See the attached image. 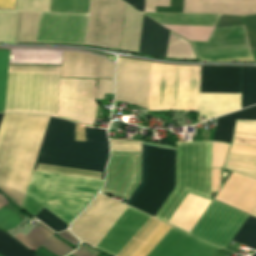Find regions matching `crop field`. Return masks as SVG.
Listing matches in <instances>:
<instances>
[{
	"mask_svg": "<svg viewBox=\"0 0 256 256\" xmlns=\"http://www.w3.org/2000/svg\"><path fill=\"white\" fill-rule=\"evenodd\" d=\"M95 79L61 78L57 117L92 126L100 107L94 96Z\"/></svg>",
	"mask_w": 256,
	"mask_h": 256,
	"instance_id": "d8731c3e",
	"label": "crop field"
},
{
	"mask_svg": "<svg viewBox=\"0 0 256 256\" xmlns=\"http://www.w3.org/2000/svg\"><path fill=\"white\" fill-rule=\"evenodd\" d=\"M174 187L175 150L142 144L141 183L127 204L154 217Z\"/></svg>",
	"mask_w": 256,
	"mask_h": 256,
	"instance_id": "412701ff",
	"label": "crop field"
},
{
	"mask_svg": "<svg viewBox=\"0 0 256 256\" xmlns=\"http://www.w3.org/2000/svg\"><path fill=\"white\" fill-rule=\"evenodd\" d=\"M251 215L256 217V207L254 208V210L251 212Z\"/></svg>",
	"mask_w": 256,
	"mask_h": 256,
	"instance_id": "9d1cf04e",
	"label": "crop field"
},
{
	"mask_svg": "<svg viewBox=\"0 0 256 256\" xmlns=\"http://www.w3.org/2000/svg\"><path fill=\"white\" fill-rule=\"evenodd\" d=\"M256 103V68L243 67L242 108Z\"/></svg>",
	"mask_w": 256,
	"mask_h": 256,
	"instance_id": "d3111659",
	"label": "crop field"
},
{
	"mask_svg": "<svg viewBox=\"0 0 256 256\" xmlns=\"http://www.w3.org/2000/svg\"><path fill=\"white\" fill-rule=\"evenodd\" d=\"M169 31L144 16L139 53L165 58Z\"/></svg>",
	"mask_w": 256,
	"mask_h": 256,
	"instance_id": "92a150f3",
	"label": "crop field"
},
{
	"mask_svg": "<svg viewBox=\"0 0 256 256\" xmlns=\"http://www.w3.org/2000/svg\"><path fill=\"white\" fill-rule=\"evenodd\" d=\"M14 0H0V7L13 8Z\"/></svg>",
	"mask_w": 256,
	"mask_h": 256,
	"instance_id": "0fb4a251",
	"label": "crop field"
},
{
	"mask_svg": "<svg viewBox=\"0 0 256 256\" xmlns=\"http://www.w3.org/2000/svg\"><path fill=\"white\" fill-rule=\"evenodd\" d=\"M155 6H169V0H146L145 11L155 12Z\"/></svg>",
	"mask_w": 256,
	"mask_h": 256,
	"instance_id": "73cf0c24",
	"label": "crop field"
},
{
	"mask_svg": "<svg viewBox=\"0 0 256 256\" xmlns=\"http://www.w3.org/2000/svg\"><path fill=\"white\" fill-rule=\"evenodd\" d=\"M59 237L69 241L70 243H72L73 245H75L77 247L78 243H79V240L74 237L69 230H66L62 233H59L58 234Z\"/></svg>",
	"mask_w": 256,
	"mask_h": 256,
	"instance_id": "1f2cbd36",
	"label": "crop field"
},
{
	"mask_svg": "<svg viewBox=\"0 0 256 256\" xmlns=\"http://www.w3.org/2000/svg\"><path fill=\"white\" fill-rule=\"evenodd\" d=\"M2 115H3V114H0V120H1Z\"/></svg>",
	"mask_w": 256,
	"mask_h": 256,
	"instance_id": "447ae74e",
	"label": "crop field"
},
{
	"mask_svg": "<svg viewBox=\"0 0 256 256\" xmlns=\"http://www.w3.org/2000/svg\"><path fill=\"white\" fill-rule=\"evenodd\" d=\"M253 256H256V253Z\"/></svg>",
	"mask_w": 256,
	"mask_h": 256,
	"instance_id": "0765c3eb",
	"label": "crop field"
},
{
	"mask_svg": "<svg viewBox=\"0 0 256 256\" xmlns=\"http://www.w3.org/2000/svg\"><path fill=\"white\" fill-rule=\"evenodd\" d=\"M61 67L9 66L4 112L56 116Z\"/></svg>",
	"mask_w": 256,
	"mask_h": 256,
	"instance_id": "ac0d7876",
	"label": "crop field"
},
{
	"mask_svg": "<svg viewBox=\"0 0 256 256\" xmlns=\"http://www.w3.org/2000/svg\"><path fill=\"white\" fill-rule=\"evenodd\" d=\"M17 12L0 11V42L14 43Z\"/></svg>",
	"mask_w": 256,
	"mask_h": 256,
	"instance_id": "5866460e",
	"label": "crop field"
},
{
	"mask_svg": "<svg viewBox=\"0 0 256 256\" xmlns=\"http://www.w3.org/2000/svg\"><path fill=\"white\" fill-rule=\"evenodd\" d=\"M242 67L201 66L200 93L241 94Z\"/></svg>",
	"mask_w": 256,
	"mask_h": 256,
	"instance_id": "4a817a6b",
	"label": "crop field"
},
{
	"mask_svg": "<svg viewBox=\"0 0 256 256\" xmlns=\"http://www.w3.org/2000/svg\"><path fill=\"white\" fill-rule=\"evenodd\" d=\"M229 145L212 143V169H221ZM220 187V170H212L211 192H217Z\"/></svg>",
	"mask_w": 256,
	"mask_h": 256,
	"instance_id": "bd1437ed",
	"label": "crop field"
},
{
	"mask_svg": "<svg viewBox=\"0 0 256 256\" xmlns=\"http://www.w3.org/2000/svg\"><path fill=\"white\" fill-rule=\"evenodd\" d=\"M104 93L113 94V81L106 79L98 80V90L96 99H103Z\"/></svg>",
	"mask_w": 256,
	"mask_h": 256,
	"instance_id": "425ffa30",
	"label": "crop field"
},
{
	"mask_svg": "<svg viewBox=\"0 0 256 256\" xmlns=\"http://www.w3.org/2000/svg\"><path fill=\"white\" fill-rule=\"evenodd\" d=\"M166 57L196 59L189 42L172 32L169 34Z\"/></svg>",
	"mask_w": 256,
	"mask_h": 256,
	"instance_id": "750c4746",
	"label": "crop field"
},
{
	"mask_svg": "<svg viewBox=\"0 0 256 256\" xmlns=\"http://www.w3.org/2000/svg\"><path fill=\"white\" fill-rule=\"evenodd\" d=\"M224 168L256 179V121L236 120Z\"/></svg>",
	"mask_w": 256,
	"mask_h": 256,
	"instance_id": "d1516ede",
	"label": "crop field"
},
{
	"mask_svg": "<svg viewBox=\"0 0 256 256\" xmlns=\"http://www.w3.org/2000/svg\"><path fill=\"white\" fill-rule=\"evenodd\" d=\"M211 142L176 146V187L155 218L166 222L187 191L210 198Z\"/></svg>",
	"mask_w": 256,
	"mask_h": 256,
	"instance_id": "f4fd0767",
	"label": "crop field"
},
{
	"mask_svg": "<svg viewBox=\"0 0 256 256\" xmlns=\"http://www.w3.org/2000/svg\"><path fill=\"white\" fill-rule=\"evenodd\" d=\"M160 24L215 26L220 15L144 13Z\"/></svg>",
	"mask_w": 256,
	"mask_h": 256,
	"instance_id": "730fd06b",
	"label": "crop field"
},
{
	"mask_svg": "<svg viewBox=\"0 0 256 256\" xmlns=\"http://www.w3.org/2000/svg\"><path fill=\"white\" fill-rule=\"evenodd\" d=\"M250 50L256 49V15L243 17ZM203 61L251 57L243 26L214 29L208 43L192 42ZM230 62L253 61L252 58L222 60Z\"/></svg>",
	"mask_w": 256,
	"mask_h": 256,
	"instance_id": "dd49c442",
	"label": "crop field"
},
{
	"mask_svg": "<svg viewBox=\"0 0 256 256\" xmlns=\"http://www.w3.org/2000/svg\"><path fill=\"white\" fill-rule=\"evenodd\" d=\"M210 202L209 200L187 193L182 203L176 208L175 212L168 220V223L190 232L191 228Z\"/></svg>",
	"mask_w": 256,
	"mask_h": 256,
	"instance_id": "00972430",
	"label": "crop field"
},
{
	"mask_svg": "<svg viewBox=\"0 0 256 256\" xmlns=\"http://www.w3.org/2000/svg\"><path fill=\"white\" fill-rule=\"evenodd\" d=\"M115 65L100 57L98 78H114Z\"/></svg>",
	"mask_w": 256,
	"mask_h": 256,
	"instance_id": "d23c7cc5",
	"label": "crop field"
},
{
	"mask_svg": "<svg viewBox=\"0 0 256 256\" xmlns=\"http://www.w3.org/2000/svg\"><path fill=\"white\" fill-rule=\"evenodd\" d=\"M150 62L117 59L115 101L147 108Z\"/></svg>",
	"mask_w": 256,
	"mask_h": 256,
	"instance_id": "28ad6ade",
	"label": "crop field"
},
{
	"mask_svg": "<svg viewBox=\"0 0 256 256\" xmlns=\"http://www.w3.org/2000/svg\"><path fill=\"white\" fill-rule=\"evenodd\" d=\"M111 151L141 152V141L110 140Z\"/></svg>",
	"mask_w": 256,
	"mask_h": 256,
	"instance_id": "b54c1fbb",
	"label": "crop field"
},
{
	"mask_svg": "<svg viewBox=\"0 0 256 256\" xmlns=\"http://www.w3.org/2000/svg\"><path fill=\"white\" fill-rule=\"evenodd\" d=\"M143 15L126 4L120 49L138 53Z\"/></svg>",
	"mask_w": 256,
	"mask_h": 256,
	"instance_id": "4177f3b9",
	"label": "crop field"
},
{
	"mask_svg": "<svg viewBox=\"0 0 256 256\" xmlns=\"http://www.w3.org/2000/svg\"><path fill=\"white\" fill-rule=\"evenodd\" d=\"M125 2L92 0L86 43L119 49Z\"/></svg>",
	"mask_w": 256,
	"mask_h": 256,
	"instance_id": "5a996713",
	"label": "crop field"
},
{
	"mask_svg": "<svg viewBox=\"0 0 256 256\" xmlns=\"http://www.w3.org/2000/svg\"><path fill=\"white\" fill-rule=\"evenodd\" d=\"M218 250L172 227L147 256H213Z\"/></svg>",
	"mask_w": 256,
	"mask_h": 256,
	"instance_id": "5142ce71",
	"label": "crop field"
},
{
	"mask_svg": "<svg viewBox=\"0 0 256 256\" xmlns=\"http://www.w3.org/2000/svg\"><path fill=\"white\" fill-rule=\"evenodd\" d=\"M50 0H16L15 10L49 12Z\"/></svg>",
	"mask_w": 256,
	"mask_h": 256,
	"instance_id": "c21b1889",
	"label": "crop field"
},
{
	"mask_svg": "<svg viewBox=\"0 0 256 256\" xmlns=\"http://www.w3.org/2000/svg\"><path fill=\"white\" fill-rule=\"evenodd\" d=\"M126 208L127 206L99 193L73 222L70 230L82 242L95 248Z\"/></svg>",
	"mask_w": 256,
	"mask_h": 256,
	"instance_id": "e52e79f7",
	"label": "crop field"
},
{
	"mask_svg": "<svg viewBox=\"0 0 256 256\" xmlns=\"http://www.w3.org/2000/svg\"><path fill=\"white\" fill-rule=\"evenodd\" d=\"M9 51L0 50V112H3Z\"/></svg>",
	"mask_w": 256,
	"mask_h": 256,
	"instance_id": "0bd39190",
	"label": "crop field"
},
{
	"mask_svg": "<svg viewBox=\"0 0 256 256\" xmlns=\"http://www.w3.org/2000/svg\"><path fill=\"white\" fill-rule=\"evenodd\" d=\"M42 246H44L45 248H47L48 250H50L51 252L58 256H65L66 254L74 251V249H72L71 247L58 241L54 236Z\"/></svg>",
	"mask_w": 256,
	"mask_h": 256,
	"instance_id": "5d738f31",
	"label": "crop field"
},
{
	"mask_svg": "<svg viewBox=\"0 0 256 256\" xmlns=\"http://www.w3.org/2000/svg\"><path fill=\"white\" fill-rule=\"evenodd\" d=\"M35 218L39 219L40 221H42L44 224H46L48 227H50L52 230L56 232H61L63 230H66L68 226L44 208L40 211V213Z\"/></svg>",
	"mask_w": 256,
	"mask_h": 256,
	"instance_id": "03da06ac",
	"label": "crop field"
},
{
	"mask_svg": "<svg viewBox=\"0 0 256 256\" xmlns=\"http://www.w3.org/2000/svg\"><path fill=\"white\" fill-rule=\"evenodd\" d=\"M48 116L4 114L0 124V190L21 206ZM77 125V124H76ZM73 127L50 117L33 169L38 162L102 172L109 155L106 131ZM83 130V137H82ZM80 140L82 142L72 140ZM104 180L33 170L22 208L36 216L44 207L66 224L76 218Z\"/></svg>",
	"mask_w": 256,
	"mask_h": 256,
	"instance_id": "8a807250",
	"label": "crop field"
},
{
	"mask_svg": "<svg viewBox=\"0 0 256 256\" xmlns=\"http://www.w3.org/2000/svg\"><path fill=\"white\" fill-rule=\"evenodd\" d=\"M240 109V95L200 94L199 116L210 119Z\"/></svg>",
	"mask_w": 256,
	"mask_h": 256,
	"instance_id": "a9b5d70f",
	"label": "crop field"
},
{
	"mask_svg": "<svg viewBox=\"0 0 256 256\" xmlns=\"http://www.w3.org/2000/svg\"><path fill=\"white\" fill-rule=\"evenodd\" d=\"M139 11H144L145 0H124Z\"/></svg>",
	"mask_w": 256,
	"mask_h": 256,
	"instance_id": "dbb93151",
	"label": "crop field"
},
{
	"mask_svg": "<svg viewBox=\"0 0 256 256\" xmlns=\"http://www.w3.org/2000/svg\"><path fill=\"white\" fill-rule=\"evenodd\" d=\"M189 41H207L214 27L164 25Z\"/></svg>",
	"mask_w": 256,
	"mask_h": 256,
	"instance_id": "1d83c4d3",
	"label": "crop field"
},
{
	"mask_svg": "<svg viewBox=\"0 0 256 256\" xmlns=\"http://www.w3.org/2000/svg\"><path fill=\"white\" fill-rule=\"evenodd\" d=\"M37 169L59 172V173H66V174H73V175H80V176H87V177H94V178H100L101 176V173H98V172L79 170V169H73V168H67V167H61V166H54V165H48V164H42V163L38 164Z\"/></svg>",
	"mask_w": 256,
	"mask_h": 256,
	"instance_id": "c035e120",
	"label": "crop field"
},
{
	"mask_svg": "<svg viewBox=\"0 0 256 256\" xmlns=\"http://www.w3.org/2000/svg\"><path fill=\"white\" fill-rule=\"evenodd\" d=\"M74 256H97L98 252L92 250L86 245H82L75 252L71 253Z\"/></svg>",
	"mask_w": 256,
	"mask_h": 256,
	"instance_id": "89e229c0",
	"label": "crop field"
},
{
	"mask_svg": "<svg viewBox=\"0 0 256 256\" xmlns=\"http://www.w3.org/2000/svg\"><path fill=\"white\" fill-rule=\"evenodd\" d=\"M39 13L18 12L15 43L34 42Z\"/></svg>",
	"mask_w": 256,
	"mask_h": 256,
	"instance_id": "ae1a2a85",
	"label": "crop field"
},
{
	"mask_svg": "<svg viewBox=\"0 0 256 256\" xmlns=\"http://www.w3.org/2000/svg\"><path fill=\"white\" fill-rule=\"evenodd\" d=\"M90 0H51L50 12L88 14Z\"/></svg>",
	"mask_w": 256,
	"mask_h": 256,
	"instance_id": "120bbe31",
	"label": "crop field"
},
{
	"mask_svg": "<svg viewBox=\"0 0 256 256\" xmlns=\"http://www.w3.org/2000/svg\"><path fill=\"white\" fill-rule=\"evenodd\" d=\"M183 13L256 14V0H184Z\"/></svg>",
	"mask_w": 256,
	"mask_h": 256,
	"instance_id": "bc2a9ffb",
	"label": "crop field"
},
{
	"mask_svg": "<svg viewBox=\"0 0 256 256\" xmlns=\"http://www.w3.org/2000/svg\"><path fill=\"white\" fill-rule=\"evenodd\" d=\"M247 215L215 200L190 234L226 249Z\"/></svg>",
	"mask_w": 256,
	"mask_h": 256,
	"instance_id": "3316defc",
	"label": "crop field"
},
{
	"mask_svg": "<svg viewBox=\"0 0 256 256\" xmlns=\"http://www.w3.org/2000/svg\"><path fill=\"white\" fill-rule=\"evenodd\" d=\"M87 15L40 13L37 43L84 44Z\"/></svg>",
	"mask_w": 256,
	"mask_h": 256,
	"instance_id": "cbeb9de0",
	"label": "crop field"
},
{
	"mask_svg": "<svg viewBox=\"0 0 256 256\" xmlns=\"http://www.w3.org/2000/svg\"><path fill=\"white\" fill-rule=\"evenodd\" d=\"M200 66L151 62L148 110L198 111Z\"/></svg>",
	"mask_w": 256,
	"mask_h": 256,
	"instance_id": "34b2d1b8",
	"label": "crop field"
},
{
	"mask_svg": "<svg viewBox=\"0 0 256 256\" xmlns=\"http://www.w3.org/2000/svg\"><path fill=\"white\" fill-rule=\"evenodd\" d=\"M7 203H9L8 200L0 194V208Z\"/></svg>",
	"mask_w": 256,
	"mask_h": 256,
	"instance_id": "1d79db26",
	"label": "crop field"
},
{
	"mask_svg": "<svg viewBox=\"0 0 256 256\" xmlns=\"http://www.w3.org/2000/svg\"><path fill=\"white\" fill-rule=\"evenodd\" d=\"M99 57L63 52L61 77L97 78Z\"/></svg>",
	"mask_w": 256,
	"mask_h": 256,
	"instance_id": "dafd665d",
	"label": "crop field"
},
{
	"mask_svg": "<svg viewBox=\"0 0 256 256\" xmlns=\"http://www.w3.org/2000/svg\"><path fill=\"white\" fill-rule=\"evenodd\" d=\"M149 217L128 207L96 248L116 256Z\"/></svg>",
	"mask_w": 256,
	"mask_h": 256,
	"instance_id": "d9b57169",
	"label": "crop field"
},
{
	"mask_svg": "<svg viewBox=\"0 0 256 256\" xmlns=\"http://www.w3.org/2000/svg\"><path fill=\"white\" fill-rule=\"evenodd\" d=\"M26 249L6 233L0 231V254L4 256H35Z\"/></svg>",
	"mask_w": 256,
	"mask_h": 256,
	"instance_id": "e1f06a70",
	"label": "crop field"
},
{
	"mask_svg": "<svg viewBox=\"0 0 256 256\" xmlns=\"http://www.w3.org/2000/svg\"><path fill=\"white\" fill-rule=\"evenodd\" d=\"M40 226L38 228L34 227L26 236L19 233L13 238L31 251H36L44 242L53 236Z\"/></svg>",
	"mask_w": 256,
	"mask_h": 256,
	"instance_id": "d32e631a",
	"label": "crop field"
},
{
	"mask_svg": "<svg viewBox=\"0 0 256 256\" xmlns=\"http://www.w3.org/2000/svg\"><path fill=\"white\" fill-rule=\"evenodd\" d=\"M168 229L150 219L118 256H145Z\"/></svg>",
	"mask_w": 256,
	"mask_h": 256,
	"instance_id": "214f88e0",
	"label": "crop field"
},
{
	"mask_svg": "<svg viewBox=\"0 0 256 256\" xmlns=\"http://www.w3.org/2000/svg\"><path fill=\"white\" fill-rule=\"evenodd\" d=\"M236 25H243L241 17L222 15L215 28L225 27V26H236Z\"/></svg>",
	"mask_w": 256,
	"mask_h": 256,
	"instance_id": "25e5ab78",
	"label": "crop field"
},
{
	"mask_svg": "<svg viewBox=\"0 0 256 256\" xmlns=\"http://www.w3.org/2000/svg\"><path fill=\"white\" fill-rule=\"evenodd\" d=\"M235 119L256 120V106L218 118L213 140L230 143Z\"/></svg>",
	"mask_w": 256,
	"mask_h": 256,
	"instance_id": "eef30255",
	"label": "crop field"
},
{
	"mask_svg": "<svg viewBox=\"0 0 256 256\" xmlns=\"http://www.w3.org/2000/svg\"><path fill=\"white\" fill-rule=\"evenodd\" d=\"M233 241L256 250V219L248 216Z\"/></svg>",
	"mask_w": 256,
	"mask_h": 256,
	"instance_id": "028f5c9d",
	"label": "crop field"
},
{
	"mask_svg": "<svg viewBox=\"0 0 256 256\" xmlns=\"http://www.w3.org/2000/svg\"><path fill=\"white\" fill-rule=\"evenodd\" d=\"M215 200L250 214L256 205V180L232 173Z\"/></svg>",
	"mask_w": 256,
	"mask_h": 256,
	"instance_id": "733c2abd",
	"label": "crop field"
},
{
	"mask_svg": "<svg viewBox=\"0 0 256 256\" xmlns=\"http://www.w3.org/2000/svg\"><path fill=\"white\" fill-rule=\"evenodd\" d=\"M141 153L111 152L101 192L129 199L140 183Z\"/></svg>",
	"mask_w": 256,
	"mask_h": 256,
	"instance_id": "22f410ed",
	"label": "crop field"
},
{
	"mask_svg": "<svg viewBox=\"0 0 256 256\" xmlns=\"http://www.w3.org/2000/svg\"><path fill=\"white\" fill-rule=\"evenodd\" d=\"M23 218L24 217L4 206L0 209V229L6 231L13 229L18 226Z\"/></svg>",
	"mask_w": 256,
	"mask_h": 256,
	"instance_id": "b80d0937",
	"label": "crop field"
}]
</instances>
